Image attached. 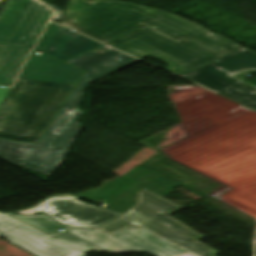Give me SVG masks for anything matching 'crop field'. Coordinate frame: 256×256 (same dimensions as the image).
<instances>
[{
  "mask_svg": "<svg viewBox=\"0 0 256 256\" xmlns=\"http://www.w3.org/2000/svg\"><path fill=\"white\" fill-rule=\"evenodd\" d=\"M10 0H0V16L4 12L5 8L7 7Z\"/></svg>",
  "mask_w": 256,
  "mask_h": 256,
  "instance_id": "crop-field-17",
  "label": "crop field"
},
{
  "mask_svg": "<svg viewBox=\"0 0 256 256\" xmlns=\"http://www.w3.org/2000/svg\"><path fill=\"white\" fill-rule=\"evenodd\" d=\"M0 232L36 256H87L7 215L0 216Z\"/></svg>",
  "mask_w": 256,
  "mask_h": 256,
  "instance_id": "crop-field-10",
  "label": "crop field"
},
{
  "mask_svg": "<svg viewBox=\"0 0 256 256\" xmlns=\"http://www.w3.org/2000/svg\"><path fill=\"white\" fill-rule=\"evenodd\" d=\"M1 214H3V213L0 212V215H1Z\"/></svg>",
  "mask_w": 256,
  "mask_h": 256,
  "instance_id": "crop-field-19",
  "label": "crop field"
},
{
  "mask_svg": "<svg viewBox=\"0 0 256 256\" xmlns=\"http://www.w3.org/2000/svg\"><path fill=\"white\" fill-rule=\"evenodd\" d=\"M72 88L18 79L0 109V137L36 142Z\"/></svg>",
  "mask_w": 256,
  "mask_h": 256,
  "instance_id": "crop-field-3",
  "label": "crop field"
},
{
  "mask_svg": "<svg viewBox=\"0 0 256 256\" xmlns=\"http://www.w3.org/2000/svg\"><path fill=\"white\" fill-rule=\"evenodd\" d=\"M60 21L103 43L145 26L176 42H198L223 56L242 48L175 15L119 1L71 0Z\"/></svg>",
  "mask_w": 256,
  "mask_h": 256,
  "instance_id": "crop-field-1",
  "label": "crop field"
},
{
  "mask_svg": "<svg viewBox=\"0 0 256 256\" xmlns=\"http://www.w3.org/2000/svg\"><path fill=\"white\" fill-rule=\"evenodd\" d=\"M107 44L139 59L151 56L169 65L166 69L178 75L220 57L187 40L176 44L144 28L137 29Z\"/></svg>",
  "mask_w": 256,
  "mask_h": 256,
  "instance_id": "crop-field-6",
  "label": "crop field"
},
{
  "mask_svg": "<svg viewBox=\"0 0 256 256\" xmlns=\"http://www.w3.org/2000/svg\"><path fill=\"white\" fill-rule=\"evenodd\" d=\"M246 70H256V52L242 48L183 77L256 110V87L235 77Z\"/></svg>",
  "mask_w": 256,
  "mask_h": 256,
  "instance_id": "crop-field-7",
  "label": "crop field"
},
{
  "mask_svg": "<svg viewBox=\"0 0 256 256\" xmlns=\"http://www.w3.org/2000/svg\"><path fill=\"white\" fill-rule=\"evenodd\" d=\"M65 200H79V199L71 197L69 195L52 197V198L46 200L45 202H43L42 204L38 205L37 207H35L34 210H36L38 213H40V212L44 211L45 209H47L48 207L55 204L56 202L65 201Z\"/></svg>",
  "mask_w": 256,
  "mask_h": 256,
  "instance_id": "crop-field-15",
  "label": "crop field"
},
{
  "mask_svg": "<svg viewBox=\"0 0 256 256\" xmlns=\"http://www.w3.org/2000/svg\"><path fill=\"white\" fill-rule=\"evenodd\" d=\"M41 214L71 227L98 228L110 236L130 227H139L119 218L121 214L101 209L81 201L58 202Z\"/></svg>",
  "mask_w": 256,
  "mask_h": 256,
  "instance_id": "crop-field-9",
  "label": "crop field"
},
{
  "mask_svg": "<svg viewBox=\"0 0 256 256\" xmlns=\"http://www.w3.org/2000/svg\"><path fill=\"white\" fill-rule=\"evenodd\" d=\"M20 214H37V212H35L33 209H31V210H27V211H22V212H20Z\"/></svg>",
  "mask_w": 256,
  "mask_h": 256,
  "instance_id": "crop-field-18",
  "label": "crop field"
},
{
  "mask_svg": "<svg viewBox=\"0 0 256 256\" xmlns=\"http://www.w3.org/2000/svg\"><path fill=\"white\" fill-rule=\"evenodd\" d=\"M122 178L127 180L124 187L111 198L104 200L101 208L123 214L137 204L138 191L146 188L163 197L172 192V187L178 185L142 166L136 167Z\"/></svg>",
  "mask_w": 256,
  "mask_h": 256,
  "instance_id": "crop-field-11",
  "label": "crop field"
},
{
  "mask_svg": "<svg viewBox=\"0 0 256 256\" xmlns=\"http://www.w3.org/2000/svg\"><path fill=\"white\" fill-rule=\"evenodd\" d=\"M31 49L0 45V104ZM30 53V52H29Z\"/></svg>",
  "mask_w": 256,
  "mask_h": 256,
  "instance_id": "crop-field-14",
  "label": "crop field"
},
{
  "mask_svg": "<svg viewBox=\"0 0 256 256\" xmlns=\"http://www.w3.org/2000/svg\"><path fill=\"white\" fill-rule=\"evenodd\" d=\"M99 44L101 43L57 25L43 52L66 61Z\"/></svg>",
  "mask_w": 256,
  "mask_h": 256,
  "instance_id": "crop-field-13",
  "label": "crop field"
},
{
  "mask_svg": "<svg viewBox=\"0 0 256 256\" xmlns=\"http://www.w3.org/2000/svg\"><path fill=\"white\" fill-rule=\"evenodd\" d=\"M138 194V204L123 214L121 218L195 256H215L219 254L196 241L203 238L202 234L168 215L182 207L145 189L138 192Z\"/></svg>",
  "mask_w": 256,
  "mask_h": 256,
  "instance_id": "crop-field-5",
  "label": "crop field"
},
{
  "mask_svg": "<svg viewBox=\"0 0 256 256\" xmlns=\"http://www.w3.org/2000/svg\"><path fill=\"white\" fill-rule=\"evenodd\" d=\"M55 27H56V24H53V23L48 24L45 32L43 33L42 37L40 38L38 44L35 47L36 49H44Z\"/></svg>",
  "mask_w": 256,
  "mask_h": 256,
  "instance_id": "crop-field-16",
  "label": "crop field"
},
{
  "mask_svg": "<svg viewBox=\"0 0 256 256\" xmlns=\"http://www.w3.org/2000/svg\"><path fill=\"white\" fill-rule=\"evenodd\" d=\"M97 49L101 50L100 47ZM97 49L68 62L87 73L40 143L34 145L0 140L1 159L15 166L52 175L80 132L81 124L77 121L83 112L75 110L82 103L86 88L94 81L138 61L112 48L102 52Z\"/></svg>",
  "mask_w": 256,
  "mask_h": 256,
  "instance_id": "crop-field-2",
  "label": "crop field"
},
{
  "mask_svg": "<svg viewBox=\"0 0 256 256\" xmlns=\"http://www.w3.org/2000/svg\"><path fill=\"white\" fill-rule=\"evenodd\" d=\"M49 235L64 230L63 226L46 215H11ZM84 253L106 251L110 254L146 251L154 256H193L172 246L143 229L130 228L110 237L97 229L70 228L53 237Z\"/></svg>",
  "mask_w": 256,
  "mask_h": 256,
  "instance_id": "crop-field-4",
  "label": "crop field"
},
{
  "mask_svg": "<svg viewBox=\"0 0 256 256\" xmlns=\"http://www.w3.org/2000/svg\"><path fill=\"white\" fill-rule=\"evenodd\" d=\"M51 14L37 0H11L0 18V43L33 47Z\"/></svg>",
  "mask_w": 256,
  "mask_h": 256,
  "instance_id": "crop-field-8",
  "label": "crop field"
},
{
  "mask_svg": "<svg viewBox=\"0 0 256 256\" xmlns=\"http://www.w3.org/2000/svg\"><path fill=\"white\" fill-rule=\"evenodd\" d=\"M37 51L34 49L20 78L76 85L78 79L83 75V71L49 55L36 54Z\"/></svg>",
  "mask_w": 256,
  "mask_h": 256,
  "instance_id": "crop-field-12",
  "label": "crop field"
}]
</instances>
